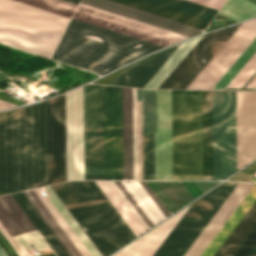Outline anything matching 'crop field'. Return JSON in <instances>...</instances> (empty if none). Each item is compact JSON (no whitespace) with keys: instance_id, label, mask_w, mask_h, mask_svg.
Returning <instances> with one entry per match:
<instances>
[{"instance_id":"obj_3","label":"crop field","mask_w":256,"mask_h":256,"mask_svg":"<svg viewBox=\"0 0 256 256\" xmlns=\"http://www.w3.org/2000/svg\"><path fill=\"white\" fill-rule=\"evenodd\" d=\"M161 47L72 18L52 59L104 74Z\"/></svg>"},{"instance_id":"obj_49","label":"crop field","mask_w":256,"mask_h":256,"mask_svg":"<svg viewBox=\"0 0 256 256\" xmlns=\"http://www.w3.org/2000/svg\"><path fill=\"white\" fill-rule=\"evenodd\" d=\"M63 1H67V2H70V3H73V4H78L79 0H63Z\"/></svg>"},{"instance_id":"obj_45","label":"crop field","mask_w":256,"mask_h":256,"mask_svg":"<svg viewBox=\"0 0 256 256\" xmlns=\"http://www.w3.org/2000/svg\"><path fill=\"white\" fill-rule=\"evenodd\" d=\"M203 192L208 190L210 187L218 184L219 182H196Z\"/></svg>"},{"instance_id":"obj_8","label":"crop field","mask_w":256,"mask_h":256,"mask_svg":"<svg viewBox=\"0 0 256 256\" xmlns=\"http://www.w3.org/2000/svg\"><path fill=\"white\" fill-rule=\"evenodd\" d=\"M173 179L202 180L201 91L172 90Z\"/></svg>"},{"instance_id":"obj_48","label":"crop field","mask_w":256,"mask_h":256,"mask_svg":"<svg viewBox=\"0 0 256 256\" xmlns=\"http://www.w3.org/2000/svg\"><path fill=\"white\" fill-rule=\"evenodd\" d=\"M0 256H8L6 254V252L2 249V247L0 246Z\"/></svg>"},{"instance_id":"obj_42","label":"crop field","mask_w":256,"mask_h":256,"mask_svg":"<svg viewBox=\"0 0 256 256\" xmlns=\"http://www.w3.org/2000/svg\"><path fill=\"white\" fill-rule=\"evenodd\" d=\"M0 231L8 240V242L11 244V246L15 249V251L18 253L19 256H27V254L24 252L21 246L17 243V241L14 239V237L11 235V233L8 231V229L5 227V225L2 223L1 220H0Z\"/></svg>"},{"instance_id":"obj_22","label":"crop field","mask_w":256,"mask_h":256,"mask_svg":"<svg viewBox=\"0 0 256 256\" xmlns=\"http://www.w3.org/2000/svg\"><path fill=\"white\" fill-rule=\"evenodd\" d=\"M256 201V184L248 193V195L244 198L238 208L234 211L228 221L224 224L218 234L214 237L205 251L201 254V256H213L223 242L227 239L236 225L240 222L246 212L250 209L253 203Z\"/></svg>"},{"instance_id":"obj_12","label":"crop field","mask_w":256,"mask_h":256,"mask_svg":"<svg viewBox=\"0 0 256 256\" xmlns=\"http://www.w3.org/2000/svg\"><path fill=\"white\" fill-rule=\"evenodd\" d=\"M256 38V19L244 22L187 89H212Z\"/></svg>"},{"instance_id":"obj_13","label":"crop field","mask_w":256,"mask_h":256,"mask_svg":"<svg viewBox=\"0 0 256 256\" xmlns=\"http://www.w3.org/2000/svg\"><path fill=\"white\" fill-rule=\"evenodd\" d=\"M155 180H172L171 90H154Z\"/></svg>"},{"instance_id":"obj_32","label":"crop field","mask_w":256,"mask_h":256,"mask_svg":"<svg viewBox=\"0 0 256 256\" xmlns=\"http://www.w3.org/2000/svg\"><path fill=\"white\" fill-rule=\"evenodd\" d=\"M45 189L49 193V196H47L49 200L52 202V204L55 206V208L58 210L61 216L65 219V221L77 235L80 241L84 244V246L87 248L90 254L92 256H101L95 249V247L92 245V243L85 236V234L82 232V230L79 228V226L72 219V217L69 215V213L65 210V208L62 206V204L59 202V200L56 198V196L53 194L50 188L46 187Z\"/></svg>"},{"instance_id":"obj_24","label":"crop field","mask_w":256,"mask_h":256,"mask_svg":"<svg viewBox=\"0 0 256 256\" xmlns=\"http://www.w3.org/2000/svg\"><path fill=\"white\" fill-rule=\"evenodd\" d=\"M117 3H121L142 11H146L167 19H171L189 26H193L199 29L204 30V28L206 27V25L208 24V22L202 21V20H198L180 13H176L161 7H157L142 1H138V0H111Z\"/></svg>"},{"instance_id":"obj_37","label":"crop field","mask_w":256,"mask_h":256,"mask_svg":"<svg viewBox=\"0 0 256 256\" xmlns=\"http://www.w3.org/2000/svg\"><path fill=\"white\" fill-rule=\"evenodd\" d=\"M255 226L256 212L253 214V216L250 218V220L247 222V224L244 226V228L241 230V232L238 234V236L235 238V240L223 254V256H233Z\"/></svg>"},{"instance_id":"obj_43","label":"crop field","mask_w":256,"mask_h":256,"mask_svg":"<svg viewBox=\"0 0 256 256\" xmlns=\"http://www.w3.org/2000/svg\"><path fill=\"white\" fill-rule=\"evenodd\" d=\"M256 242V227L248 236V238L244 241L238 251L235 253L234 256H245L253 244Z\"/></svg>"},{"instance_id":"obj_14","label":"crop field","mask_w":256,"mask_h":256,"mask_svg":"<svg viewBox=\"0 0 256 256\" xmlns=\"http://www.w3.org/2000/svg\"><path fill=\"white\" fill-rule=\"evenodd\" d=\"M145 229L170 214L145 181H110Z\"/></svg>"},{"instance_id":"obj_35","label":"crop field","mask_w":256,"mask_h":256,"mask_svg":"<svg viewBox=\"0 0 256 256\" xmlns=\"http://www.w3.org/2000/svg\"><path fill=\"white\" fill-rule=\"evenodd\" d=\"M15 238L28 254V256H34L28 253L27 250L29 249L43 250L50 248L40 233L37 231V229L15 236Z\"/></svg>"},{"instance_id":"obj_4","label":"crop field","mask_w":256,"mask_h":256,"mask_svg":"<svg viewBox=\"0 0 256 256\" xmlns=\"http://www.w3.org/2000/svg\"><path fill=\"white\" fill-rule=\"evenodd\" d=\"M50 188L102 256L136 238L94 181Z\"/></svg>"},{"instance_id":"obj_46","label":"crop field","mask_w":256,"mask_h":256,"mask_svg":"<svg viewBox=\"0 0 256 256\" xmlns=\"http://www.w3.org/2000/svg\"><path fill=\"white\" fill-rule=\"evenodd\" d=\"M11 107H16V106L0 101V110L11 108Z\"/></svg>"},{"instance_id":"obj_30","label":"crop field","mask_w":256,"mask_h":256,"mask_svg":"<svg viewBox=\"0 0 256 256\" xmlns=\"http://www.w3.org/2000/svg\"><path fill=\"white\" fill-rule=\"evenodd\" d=\"M179 45L154 54L127 86L142 88Z\"/></svg>"},{"instance_id":"obj_9","label":"crop field","mask_w":256,"mask_h":256,"mask_svg":"<svg viewBox=\"0 0 256 256\" xmlns=\"http://www.w3.org/2000/svg\"><path fill=\"white\" fill-rule=\"evenodd\" d=\"M84 133L85 179H103L102 87L100 85L84 86Z\"/></svg>"},{"instance_id":"obj_11","label":"crop field","mask_w":256,"mask_h":256,"mask_svg":"<svg viewBox=\"0 0 256 256\" xmlns=\"http://www.w3.org/2000/svg\"><path fill=\"white\" fill-rule=\"evenodd\" d=\"M239 25L203 35L159 88L186 89Z\"/></svg>"},{"instance_id":"obj_23","label":"crop field","mask_w":256,"mask_h":256,"mask_svg":"<svg viewBox=\"0 0 256 256\" xmlns=\"http://www.w3.org/2000/svg\"><path fill=\"white\" fill-rule=\"evenodd\" d=\"M95 182L99 186V188L102 190V192L105 194V196L108 198V200L111 202V204L114 206V208L117 210V212L120 214V216L123 218V220L126 222V224L129 226V228L132 230V232L135 234L136 237L142 234L144 231H146L144 227L141 225V223L138 221V219L135 217V215L132 213V211L129 209V207L125 204V202L116 192V190L113 188V186L110 184L109 181H95Z\"/></svg>"},{"instance_id":"obj_10","label":"crop field","mask_w":256,"mask_h":256,"mask_svg":"<svg viewBox=\"0 0 256 256\" xmlns=\"http://www.w3.org/2000/svg\"><path fill=\"white\" fill-rule=\"evenodd\" d=\"M104 179H122L121 88L103 85Z\"/></svg>"},{"instance_id":"obj_19","label":"crop field","mask_w":256,"mask_h":256,"mask_svg":"<svg viewBox=\"0 0 256 256\" xmlns=\"http://www.w3.org/2000/svg\"><path fill=\"white\" fill-rule=\"evenodd\" d=\"M143 135H153V90H142ZM143 179H154V136H143Z\"/></svg>"},{"instance_id":"obj_17","label":"crop field","mask_w":256,"mask_h":256,"mask_svg":"<svg viewBox=\"0 0 256 256\" xmlns=\"http://www.w3.org/2000/svg\"><path fill=\"white\" fill-rule=\"evenodd\" d=\"M254 184L239 183L184 256H199Z\"/></svg>"},{"instance_id":"obj_18","label":"crop field","mask_w":256,"mask_h":256,"mask_svg":"<svg viewBox=\"0 0 256 256\" xmlns=\"http://www.w3.org/2000/svg\"><path fill=\"white\" fill-rule=\"evenodd\" d=\"M81 2L188 36H192L202 32V30L189 27L171 20H167L108 0H82Z\"/></svg>"},{"instance_id":"obj_21","label":"crop field","mask_w":256,"mask_h":256,"mask_svg":"<svg viewBox=\"0 0 256 256\" xmlns=\"http://www.w3.org/2000/svg\"><path fill=\"white\" fill-rule=\"evenodd\" d=\"M0 219L13 236L35 229L11 195L0 197Z\"/></svg>"},{"instance_id":"obj_15","label":"crop field","mask_w":256,"mask_h":256,"mask_svg":"<svg viewBox=\"0 0 256 256\" xmlns=\"http://www.w3.org/2000/svg\"><path fill=\"white\" fill-rule=\"evenodd\" d=\"M74 18L131 35L162 46L175 43L183 38L131 23L87 8L78 7Z\"/></svg>"},{"instance_id":"obj_29","label":"crop field","mask_w":256,"mask_h":256,"mask_svg":"<svg viewBox=\"0 0 256 256\" xmlns=\"http://www.w3.org/2000/svg\"><path fill=\"white\" fill-rule=\"evenodd\" d=\"M32 192L35 194V196L38 198V200L41 202V204L44 206V208L47 210V212L50 214V216L62 230V232L65 234V236L77 250L80 256H91L89 252L86 250V248L83 246V244L76 237V235L73 233V231L70 229V227L67 225V223L64 221V219L60 216V214L51 204V202L48 200V198H42L37 189H33Z\"/></svg>"},{"instance_id":"obj_33","label":"crop field","mask_w":256,"mask_h":256,"mask_svg":"<svg viewBox=\"0 0 256 256\" xmlns=\"http://www.w3.org/2000/svg\"><path fill=\"white\" fill-rule=\"evenodd\" d=\"M256 72V53L251 57V59L245 64V66L239 71V73L233 78V80L227 85V87L242 88L244 84L250 79V77ZM256 73L251 77V79L245 84L242 89L239 90H254V89H244L247 84L253 79ZM225 88V89H233ZM246 88H256V76L248 84Z\"/></svg>"},{"instance_id":"obj_16","label":"crop field","mask_w":256,"mask_h":256,"mask_svg":"<svg viewBox=\"0 0 256 256\" xmlns=\"http://www.w3.org/2000/svg\"><path fill=\"white\" fill-rule=\"evenodd\" d=\"M123 179H137L136 90L122 88Z\"/></svg>"},{"instance_id":"obj_47","label":"crop field","mask_w":256,"mask_h":256,"mask_svg":"<svg viewBox=\"0 0 256 256\" xmlns=\"http://www.w3.org/2000/svg\"><path fill=\"white\" fill-rule=\"evenodd\" d=\"M246 256H256V243L254 246L251 248V250L248 252Z\"/></svg>"},{"instance_id":"obj_34","label":"crop field","mask_w":256,"mask_h":256,"mask_svg":"<svg viewBox=\"0 0 256 256\" xmlns=\"http://www.w3.org/2000/svg\"><path fill=\"white\" fill-rule=\"evenodd\" d=\"M27 4H31L43 9H47L59 14L71 17L76 5L63 2L60 0H18Z\"/></svg>"},{"instance_id":"obj_7","label":"crop field","mask_w":256,"mask_h":256,"mask_svg":"<svg viewBox=\"0 0 256 256\" xmlns=\"http://www.w3.org/2000/svg\"><path fill=\"white\" fill-rule=\"evenodd\" d=\"M0 8L64 29L70 19L15 0H0ZM1 9L0 43L50 58L64 29Z\"/></svg>"},{"instance_id":"obj_36","label":"crop field","mask_w":256,"mask_h":256,"mask_svg":"<svg viewBox=\"0 0 256 256\" xmlns=\"http://www.w3.org/2000/svg\"><path fill=\"white\" fill-rule=\"evenodd\" d=\"M255 51L256 39L234 63V65L227 71V73L221 78V80L215 85L213 89H224L227 83L234 77V75L241 69V67L247 62V60L254 54Z\"/></svg>"},{"instance_id":"obj_20","label":"crop field","mask_w":256,"mask_h":256,"mask_svg":"<svg viewBox=\"0 0 256 256\" xmlns=\"http://www.w3.org/2000/svg\"><path fill=\"white\" fill-rule=\"evenodd\" d=\"M146 182L170 214L194 200L181 182Z\"/></svg>"},{"instance_id":"obj_38","label":"crop field","mask_w":256,"mask_h":256,"mask_svg":"<svg viewBox=\"0 0 256 256\" xmlns=\"http://www.w3.org/2000/svg\"><path fill=\"white\" fill-rule=\"evenodd\" d=\"M152 56V55H151ZM148 56L140 61H137L125 68V70L120 74V76L113 83L114 85L126 86L129 81L136 75V73L143 67V65L150 59Z\"/></svg>"},{"instance_id":"obj_1","label":"crop field","mask_w":256,"mask_h":256,"mask_svg":"<svg viewBox=\"0 0 256 256\" xmlns=\"http://www.w3.org/2000/svg\"><path fill=\"white\" fill-rule=\"evenodd\" d=\"M236 110L240 169L256 158V92L236 91ZM202 135L203 180H213L212 91H202ZM213 135L214 180L224 179L237 171L235 91H213Z\"/></svg>"},{"instance_id":"obj_6","label":"crop field","mask_w":256,"mask_h":256,"mask_svg":"<svg viewBox=\"0 0 256 256\" xmlns=\"http://www.w3.org/2000/svg\"><path fill=\"white\" fill-rule=\"evenodd\" d=\"M67 180L84 179L83 87L66 94ZM65 94L49 100V184L66 181Z\"/></svg>"},{"instance_id":"obj_31","label":"crop field","mask_w":256,"mask_h":256,"mask_svg":"<svg viewBox=\"0 0 256 256\" xmlns=\"http://www.w3.org/2000/svg\"><path fill=\"white\" fill-rule=\"evenodd\" d=\"M237 22L256 16V0H228L219 12Z\"/></svg>"},{"instance_id":"obj_26","label":"crop field","mask_w":256,"mask_h":256,"mask_svg":"<svg viewBox=\"0 0 256 256\" xmlns=\"http://www.w3.org/2000/svg\"><path fill=\"white\" fill-rule=\"evenodd\" d=\"M21 193L29 202V204L33 207V209L36 211V213L39 215V217L42 219L45 225L49 228V230L52 232L55 238L59 241V243L68 253V255L79 256V254L76 252V250L64 236V234L61 232V230L58 228V226L55 224V222L52 220V218L49 216V214L46 212V210L34 196V194L31 192V190L23 191Z\"/></svg>"},{"instance_id":"obj_44","label":"crop field","mask_w":256,"mask_h":256,"mask_svg":"<svg viewBox=\"0 0 256 256\" xmlns=\"http://www.w3.org/2000/svg\"><path fill=\"white\" fill-rule=\"evenodd\" d=\"M219 10L226 0H189Z\"/></svg>"},{"instance_id":"obj_50","label":"crop field","mask_w":256,"mask_h":256,"mask_svg":"<svg viewBox=\"0 0 256 256\" xmlns=\"http://www.w3.org/2000/svg\"><path fill=\"white\" fill-rule=\"evenodd\" d=\"M256 90V89H255Z\"/></svg>"},{"instance_id":"obj_41","label":"crop field","mask_w":256,"mask_h":256,"mask_svg":"<svg viewBox=\"0 0 256 256\" xmlns=\"http://www.w3.org/2000/svg\"><path fill=\"white\" fill-rule=\"evenodd\" d=\"M80 6L87 7V8H90V9H93V10H96V11H99V12H103V13H106V14H109V15H112V16H115V17H119V18H122V19H125V20H128V21H132V22H135V23H138V24H141V25H144V26H148V27H151V28L160 30V31H164V32H167V33L176 35V36H180V37H183V38H187V37H188V36L181 35V34H178V33L172 32V31H169V30H165V29H162V28L153 26V25H149V24H146V23L137 21V20H133V19H130V18L121 16V15H117V14H114V13H111V12H108V11H105V10H101V9H98V8H95V7H92V6H89V5H85V4L80 3Z\"/></svg>"},{"instance_id":"obj_5","label":"crop field","mask_w":256,"mask_h":256,"mask_svg":"<svg viewBox=\"0 0 256 256\" xmlns=\"http://www.w3.org/2000/svg\"><path fill=\"white\" fill-rule=\"evenodd\" d=\"M238 183L225 182L113 256H183Z\"/></svg>"},{"instance_id":"obj_28","label":"crop field","mask_w":256,"mask_h":256,"mask_svg":"<svg viewBox=\"0 0 256 256\" xmlns=\"http://www.w3.org/2000/svg\"><path fill=\"white\" fill-rule=\"evenodd\" d=\"M12 196L22 208V210L26 213V215L29 217V219L32 221V223L35 225V227L39 230V232L42 234V236L45 238V240L48 242V244L51 246L57 256H68L64 249L61 247V245L58 243V241L54 238L48 228L44 225V223L32 209L33 207L31 208V206L22 196V194L18 193L13 194Z\"/></svg>"},{"instance_id":"obj_2","label":"crop field","mask_w":256,"mask_h":256,"mask_svg":"<svg viewBox=\"0 0 256 256\" xmlns=\"http://www.w3.org/2000/svg\"><path fill=\"white\" fill-rule=\"evenodd\" d=\"M48 184V100L0 113V195Z\"/></svg>"},{"instance_id":"obj_39","label":"crop field","mask_w":256,"mask_h":256,"mask_svg":"<svg viewBox=\"0 0 256 256\" xmlns=\"http://www.w3.org/2000/svg\"><path fill=\"white\" fill-rule=\"evenodd\" d=\"M137 100L141 101V90L137 89ZM137 101L138 134V179H142L141 102Z\"/></svg>"},{"instance_id":"obj_40","label":"crop field","mask_w":256,"mask_h":256,"mask_svg":"<svg viewBox=\"0 0 256 256\" xmlns=\"http://www.w3.org/2000/svg\"><path fill=\"white\" fill-rule=\"evenodd\" d=\"M255 210H256V203L253 205L250 211L246 214V216L243 218L240 224L236 227V229L233 231V233L226 240V242L223 244V246L220 248V250L216 253L215 256H222V254L225 252V250L228 248V246L231 244V242L234 240V238L237 236V234L240 232V230L243 228V226L246 224V222L255 212Z\"/></svg>"},{"instance_id":"obj_25","label":"crop field","mask_w":256,"mask_h":256,"mask_svg":"<svg viewBox=\"0 0 256 256\" xmlns=\"http://www.w3.org/2000/svg\"><path fill=\"white\" fill-rule=\"evenodd\" d=\"M200 37L182 43L143 88H158Z\"/></svg>"},{"instance_id":"obj_27","label":"crop field","mask_w":256,"mask_h":256,"mask_svg":"<svg viewBox=\"0 0 256 256\" xmlns=\"http://www.w3.org/2000/svg\"><path fill=\"white\" fill-rule=\"evenodd\" d=\"M188 15L210 21L217 10L207 8L185 0H143Z\"/></svg>"}]
</instances>
